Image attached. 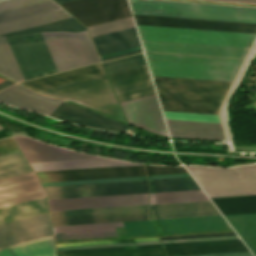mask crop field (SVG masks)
Masks as SVG:
<instances>
[{
    "mask_svg": "<svg viewBox=\"0 0 256 256\" xmlns=\"http://www.w3.org/2000/svg\"><path fill=\"white\" fill-rule=\"evenodd\" d=\"M230 235H236V233L235 232H227V233H212V234H197V235L167 236V237H160V239L168 240V239H184V238L230 236Z\"/></svg>",
    "mask_w": 256,
    "mask_h": 256,
    "instance_id": "crop-field-49",
    "label": "crop field"
},
{
    "mask_svg": "<svg viewBox=\"0 0 256 256\" xmlns=\"http://www.w3.org/2000/svg\"><path fill=\"white\" fill-rule=\"evenodd\" d=\"M222 215L256 212V195L211 198Z\"/></svg>",
    "mask_w": 256,
    "mask_h": 256,
    "instance_id": "crop-field-33",
    "label": "crop field"
},
{
    "mask_svg": "<svg viewBox=\"0 0 256 256\" xmlns=\"http://www.w3.org/2000/svg\"><path fill=\"white\" fill-rule=\"evenodd\" d=\"M140 51H142V49L136 50V51H132V52H128V53H124V54H119V55L111 56V57H107V58H103L101 60L105 61V60L121 57V56H124V55L132 54V53H136V52H140Z\"/></svg>",
    "mask_w": 256,
    "mask_h": 256,
    "instance_id": "crop-field-57",
    "label": "crop field"
},
{
    "mask_svg": "<svg viewBox=\"0 0 256 256\" xmlns=\"http://www.w3.org/2000/svg\"><path fill=\"white\" fill-rule=\"evenodd\" d=\"M221 1H235V2H250V3H256V0H221Z\"/></svg>",
    "mask_w": 256,
    "mask_h": 256,
    "instance_id": "crop-field-59",
    "label": "crop field"
},
{
    "mask_svg": "<svg viewBox=\"0 0 256 256\" xmlns=\"http://www.w3.org/2000/svg\"><path fill=\"white\" fill-rule=\"evenodd\" d=\"M0 256H56L53 235L1 248Z\"/></svg>",
    "mask_w": 256,
    "mask_h": 256,
    "instance_id": "crop-field-28",
    "label": "crop field"
},
{
    "mask_svg": "<svg viewBox=\"0 0 256 256\" xmlns=\"http://www.w3.org/2000/svg\"><path fill=\"white\" fill-rule=\"evenodd\" d=\"M13 83H14V82H11V81H9V80H6V81L0 83V90L3 89V88H5V87H7V86H9V85H11V84H13Z\"/></svg>",
    "mask_w": 256,
    "mask_h": 256,
    "instance_id": "crop-field-58",
    "label": "crop field"
},
{
    "mask_svg": "<svg viewBox=\"0 0 256 256\" xmlns=\"http://www.w3.org/2000/svg\"><path fill=\"white\" fill-rule=\"evenodd\" d=\"M151 74L232 81L241 60L146 53Z\"/></svg>",
    "mask_w": 256,
    "mask_h": 256,
    "instance_id": "crop-field-3",
    "label": "crop field"
},
{
    "mask_svg": "<svg viewBox=\"0 0 256 256\" xmlns=\"http://www.w3.org/2000/svg\"><path fill=\"white\" fill-rule=\"evenodd\" d=\"M105 73L103 70V67L101 64L65 72V73H60L28 82H24L22 84L29 86L35 90L99 75Z\"/></svg>",
    "mask_w": 256,
    "mask_h": 256,
    "instance_id": "crop-field-27",
    "label": "crop field"
},
{
    "mask_svg": "<svg viewBox=\"0 0 256 256\" xmlns=\"http://www.w3.org/2000/svg\"><path fill=\"white\" fill-rule=\"evenodd\" d=\"M56 2H58L59 4L61 3H65V2H69V1H73V0H55Z\"/></svg>",
    "mask_w": 256,
    "mask_h": 256,
    "instance_id": "crop-field-61",
    "label": "crop field"
},
{
    "mask_svg": "<svg viewBox=\"0 0 256 256\" xmlns=\"http://www.w3.org/2000/svg\"><path fill=\"white\" fill-rule=\"evenodd\" d=\"M166 118L220 123L219 116L163 111Z\"/></svg>",
    "mask_w": 256,
    "mask_h": 256,
    "instance_id": "crop-field-44",
    "label": "crop field"
},
{
    "mask_svg": "<svg viewBox=\"0 0 256 256\" xmlns=\"http://www.w3.org/2000/svg\"><path fill=\"white\" fill-rule=\"evenodd\" d=\"M61 6L86 27L132 16L127 0H78Z\"/></svg>",
    "mask_w": 256,
    "mask_h": 256,
    "instance_id": "crop-field-10",
    "label": "crop field"
},
{
    "mask_svg": "<svg viewBox=\"0 0 256 256\" xmlns=\"http://www.w3.org/2000/svg\"><path fill=\"white\" fill-rule=\"evenodd\" d=\"M48 212L46 197L5 207L0 209V225Z\"/></svg>",
    "mask_w": 256,
    "mask_h": 256,
    "instance_id": "crop-field-30",
    "label": "crop field"
},
{
    "mask_svg": "<svg viewBox=\"0 0 256 256\" xmlns=\"http://www.w3.org/2000/svg\"><path fill=\"white\" fill-rule=\"evenodd\" d=\"M139 248H151V247H162L161 244H155V245H143V246H138Z\"/></svg>",
    "mask_w": 256,
    "mask_h": 256,
    "instance_id": "crop-field-60",
    "label": "crop field"
},
{
    "mask_svg": "<svg viewBox=\"0 0 256 256\" xmlns=\"http://www.w3.org/2000/svg\"><path fill=\"white\" fill-rule=\"evenodd\" d=\"M137 24L256 33V24L133 15ZM137 25L141 39L249 47L255 34Z\"/></svg>",
    "mask_w": 256,
    "mask_h": 256,
    "instance_id": "crop-field-1",
    "label": "crop field"
},
{
    "mask_svg": "<svg viewBox=\"0 0 256 256\" xmlns=\"http://www.w3.org/2000/svg\"><path fill=\"white\" fill-rule=\"evenodd\" d=\"M58 256H166L163 248L58 254Z\"/></svg>",
    "mask_w": 256,
    "mask_h": 256,
    "instance_id": "crop-field-41",
    "label": "crop field"
},
{
    "mask_svg": "<svg viewBox=\"0 0 256 256\" xmlns=\"http://www.w3.org/2000/svg\"><path fill=\"white\" fill-rule=\"evenodd\" d=\"M40 182L146 175L143 165L36 172Z\"/></svg>",
    "mask_w": 256,
    "mask_h": 256,
    "instance_id": "crop-field-18",
    "label": "crop field"
},
{
    "mask_svg": "<svg viewBox=\"0 0 256 256\" xmlns=\"http://www.w3.org/2000/svg\"><path fill=\"white\" fill-rule=\"evenodd\" d=\"M148 194L48 200L50 210L147 204Z\"/></svg>",
    "mask_w": 256,
    "mask_h": 256,
    "instance_id": "crop-field-23",
    "label": "crop field"
},
{
    "mask_svg": "<svg viewBox=\"0 0 256 256\" xmlns=\"http://www.w3.org/2000/svg\"><path fill=\"white\" fill-rule=\"evenodd\" d=\"M145 167L148 175L187 173V171L184 169L183 166L165 167V166L145 165Z\"/></svg>",
    "mask_w": 256,
    "mask_h": 256,
    "instance_id": "crop-field-47",
    "label": "crop field"
},
{
    "mask_svg": "<svg viewBox=\"0 0 256 256\" xmlns=\"http://www.w3.org/2000/svg\"><path fill=\"white\" fill-rule=\"evenodd\" d=\"M0 129H2V128L0 127Z\"/></svg>",
    "mask_w": 256,
    "mask_h": 256,
    "instance_id": "crop-field-62",
    "label": "crop field"
},
{
    "mask_svg": "<svg viewBox=\"0 0 256 256\" xmlns=\"http://www.w3.org/2000/svg\"><path fill=\"white\" fill-rule=\"evenodd\" d=\"M193 256H253L251 252L242 253H226V254H210V255H193Z\"/></svg>",
    "mask_w": 256,
    "mask_h": 256,
    "instance_id": "crop-field-54",
    "label": "crop field"
},
{
    "mask_svg": "<svg viewBox=\"0 0 256 256\" xmlns=\"http://www.w3.org/2000/svg\"><path fill=\"white\" fill-rule=\"evenodd\" d=\"M171 137L223 140L220 124L166 119Z\"/></svg>",
    "mask_w": 256,
    "mask_h": 256,
    "instance_id": "crop-field-24",
    "label": "crop field"
},
{
    "mask_svg": "<svg viewBox=\"0 0 256 256\" xmlns=\"http://www.w3.org/2000/svg\"><path fill=\"white\" fill-rule=\"evenodd\" d=\"M129 236L156 234L149 221L125 222ZM123 223L53 227L56 240L118 236L115 227Z\"/></svg>",
    "mask_w": 256,
    "mask_h": 256,
    "instance_id": "crop-field-12",
    "label": "crop field"
},
{
    "mask_svg": "<svg viewBox=\"0 0 256 256\" xmlns=\"http://www.w3.org/2000/svg\"><path fill=\"white\" fill-rule=\"evenodd\" d=\"M119 249H127V248L126 247H118V248H101V249L66 250V251H58V253L84 252V251H101V250H119Z\"/></svg>",
    "mask_w": 256,
    "mask_h": 256,
    "instance_id": "crop-field-53",
    "label": "crop field"
},
{
    "mask_svg": "<svg viewBox=\"0 0 256 256\" xmlns=\"http://www.w3.org/2000/svg\"><path fill=\"white\" fill-rule=\"evenodd\" d=\"M50 116L60 120L90 126L98 129L134 134L133 128L88 109L63 102Z\"/></svg>",
    "mask_w": 256,
    "mask_h": 256,
    "instance_id": "crop-field-16",
    "label": "crop field"
},
{
    "mask_svg": "<svg viewBox=\"0 0 256 256\" xmlns=\"http://www.w3.org/2000/svg\"><path fill=\"white\" fill-rule=\"evenodd\" d=\"M92 39L100 55L141 45L135 27Z\"/></svg>",
    "mask_w": 256,
    "mask_h": 256,
    "instance_id": "crop-field-26",
    "label": "crop field"
},
{
    "mask_svg": "<svg viewBox=\"0 0 256 256\" xmlns=\"http://www.w3.org/2000/svg\"><path fill=\"white\" fill-rule=\"evenodd\" d=\"M133 14L256 23V8L160 0H129Z\"/></svg>",
    "mask_w": 256,
    "mask_h": 256,
    "instance_id": "crop-field-4",
    "label": "crop field"
},
{
    "mask_svg": "<svg viewBox=\"0 0 256 256\" xmlns=\"http://www.w3.org/2000/svg\"><path fill=\"white\" fill-rule=\"evenodd\" d=\"M190 176L189 174H178V175H158V176H148L149 179H156V178H170V177H184Z\"/></svg>",
    "mask_w": 256,
    "mask_h": 256,
    "instance_id": "crop-field-55",
    "label": "crop field"
},
{
    "mask_svg": "<svg viewBox=\"0 0 256 256\" xmlns=\"http://www.w3.org/2000/svg\"><path fill=\"white\" fill-rule=\"evenodd\" d=\"M147 205L50 211L53 226L148 220Z\"/></svg>",
    "mask_w": 256,
    "mask_h": 256,
    "instance_id": "crop-field-9",
    "label": "crop field"
},
{
    "mask_svg": "<svg viewBox=\"0 0 256 256\" xmlns=\"http://www.w3.org/2000/svg\"><path fill=\"white\" fill-rule=\"evenodd\" d=\"M146 51L244 58L248 48L141 40ZM145 51V52H146Z\"/></svg>",
    "mask_w": 256,
    "mask_h": 256,
    "instance_id": "crop-field-19",
    "label": "crop field"
},
{
    "mask_svg": "<svg viewBox=\"0 0 256 256\" xmlns=\"http://www.w3.org/2000/svg\"><path fill=\"white\" fill-rule=\"evenodd\" d=\"M120 104L129 123L154 133L168 135L155 94Z\"/></svg>",
    "mask_w": 256,
    "mask_h": 256,
    "instance_id": "crop-field-13",
    "label": "crop field"
},
{
    "mask_svg": "<svg viewBox=\"0 0 256 256\" xmlns=\"http://www.w3.org/2000/svg\"><path fill=\"white\" fill-rule=\"evenodd\" d=\"M159 221L166 233L231 229L223 216Z\"/></svg>",
    "mask_w": 256,
    "mask_h": 256,
    "instance_id": "crop-field-25",
    "label": "crop field"
},
{
    "mask_svg": "<svg viewBox=\"0 0 256 256\" xmlns=\"http://www.w3.org/2000/svg\"><path fill=\"white\" fill-rule=\"evenodd\" d=\"M67 17H71V16L67 14L65 11L60 10V11L0 25V34L67 18Z\"/></svg>",
    "mask_w": 256,
    "mask_h": 256,
    "instance_id": "crop-field-38",
    "label": "crop field"
},
{
    "mask_svg": "<svg viewBox=\"0 0 256 256\" xmlns=\"http://www.w3.org/2000/svg\"><path fill=\"white\" fill-rule=\"evenodd\" d=\"M168 256L249 251L243 242L164 247Z\"/></svg>",
    "mask_w": 256,
    "mask_h": 256,
    "instance_id": "crop-field-31",
    "label": "crop field"
},
{
    "mask_svg": "<svg viewBox=\"0 0 256 256\" xmlns=\"http://www.w3.org/2000/svg\"><path fill=\"white\" fill-rule=\"evenodd\" d=\"M32 172L21 151L0 156V180Z\"/></svg>",
    "mask_w": 256,
    "mask_h": 256,
    "instance_id": "crop-field-35",
    "label": "crop field"
},
{
    "mask_svg": "<svg viewBox=\"0 0 256 256\" xmlns=\"http://www.w3.org/2000/svg\"><path fill=\"white\" fill-rule=\"evenodd\" d=\"M142 48L141 46L100 56L101 58Z\"/></svg>",
    "mask_w": 256,
    "mask_h": 256,
    "instance_id": "crop-field-56",
    "label": "crop field"
},
{
    "mask_svg": "<svg viewBox=\"0 0 256 256\" xmlns=\"http://www.w3.org/2000/svg\"><path fill=\"white\" fill-rule=\"evenodd\" d=\"M235 241H241V239L202 241V242H186V243H170V244H163V245L164 246H171V245H187V244H203V243H219V242H235Z\"/></svg>",
    "mask_w": 256,
    "mask_h": 256,
    "instance_id": "crop-field-52",
    "label": "crop field"
},
{
    "mask_svg": "<svg viewBox=\"0 0 256 256\" xmlns=\"http://www.w3.org/2000/svg\"><path fill=\"white\" fill-rule=\"evenodd\" d=\"M154 243H160V241H152V242H137V243H123V244H108V245H93V246H79V247H64V248H57V249H58V250H65V249H80V248L110 247V246H124V245L154 244Z\"/></svg>",
    "mask_w": 256,
    "mask_h": 256,
    "instance_id": "crop-field-50",
    "label": "crop field"
},
{
    "mask_svg": "<svg viewBox=\"0 0 256 256\" xmlns=\"http://www.w3.org/2000/svg\"><path fill=\"white\" fill-rule=\"evenodd\" d=\"M42 1L46 0H2L0 1V12Z\"/></svg>",
    "mask_w": 256,
    "mask_h": 256,
    "instance_id": "crop-field-48",
    "label": "crop field"
},
{
    "mask_svg": "<svg viewBox=\"0 0 256 256\" xmlns=\"http://www.w3.org/2000/svg\"><path fill=\"white\" fill-rule=\"evenodd\" d=\"M133 26H135L134 21H133V18L130 17V18H126V19H122V20H118L110 23L89 27L88 30L91 36L93 37V36L129 28Z\"/></svg>",
    "mask_w": 256,
    "mask_h": 256,
    "instance_id": "crop-field-43",
    "label": "crop field"
},
{
    "mask_svg": "<svg viewBox=\"0 0 256 256\" xmlns=\"http://www.w3.org/2000/svg\"><path fill=\"white\" fill-rule=\"evenodd\" d=\"M86 30L84 26H82L78 21H76L73 17L3 34L4 35H17V34H27V33H35V32H50V31H70V32H79Z\"/></svg>",
    "mask_w": 256,
    "mask_h": 256,
    "instance_id": "crop-field-37",
    "label": "crop field"
},
{
    "mask_svg": "<svg viewBox=\"0 0 256 256\" xmlns=\"http://www.w3.org/2000/svg\"><path fill=\"white\" fill-rule=\"evenodd\" d=\"M52 234L49 213L12 222L0 226V248Z\"/></svg>",
    "mask_w": 256,
    "mask_h": 256,
    "instance_id": "crop-field-14",
    "label": "crop field"
},
{
    "mask_svg": "<svg viewBox=\"0 0 256 256\" xmlns=\"http://www.w3.org/2000/svg\"><path fill=\"white\" fill-rule=\"evenodd\" d=\"M233 238H239V237L238 236H230V237H214V238H199V239H184V240H168V241H162V243L201 241V240H217V239H233Z\"/></svg>",
    "mask_w": 256,
    "mask_h": 256,
    "instance_id": "crop-field-51",
    "label": "crop field"
},
{
    "mask_svg": "<svg viewBox=\"0 0 256 256\" xmlns=\"http://www.w3.org/2000/svg\"><path fill=\"white\" fill-rule=\"evenodd\" d=\"M163 110L218 115L231 82L152 76Z\"/></svg>",
    "mask_w": 256,
    "mask_h": 256,
    "instance_id": "crop-field-2",
    "label": "crop field"
},
{
    "mask_svg": "<svg viewBox=\"0 0 256 256\" xmlns=\"http://www.w3.org/2000/svg\"><path fill=\"white\" fill-rule=\"evenodd\" d=\"M150 220L220 215L211 201L149 205Z\"/></svg>",
    "mask_w": 256,
    "mask_h": 256,
    "instance_id": "crop-field-21",
    "label": "crop field"
},
{
    "mask_svg": "<svg viewBox=\"0 0 256 256\" xmlns=\"http://www.w3.org/2000/svg\"><path fill=\"white\" fill-rule=\"evenodd\" d=\"M45 196L34 172L0 181V208Z\"/></svg>",
    "mask_w": 256,
    "mask_h": 256,
    "instance_id": "crop-field-17",
    "label": "crop field"
},
{
    "mask_svg": "<svg viewBox=\"0 0 256 256\" xmlns=\"http://www.w3.org/2000/svg\"><path fill=\"white\" fill-rule=\"evenodd\" d=\"M159 240L158 237L56 244L57 247Z\"/></svg>",
    "mask_w": 256,
    "mask_h": 256,
    "instance_id": "crop-field-46",
    "label": "crop field"
},
{
    "mask_svg": "<svg viewBox=\"0 0 256 256\" xmlns=\"http://www.w3.org/2000/svg\"><path fill=\"white\" fill-rule=\"evenodd\" d=\"M108 76L120 102L155 93L146 65Z\"/></svg>",
    "mask_w": 256,
    "mask_h": 256,
    "instance_id": "crop-field-15",
    "label": "crop field"
},
{
    "mask_svg": "<svg viewBox=\"0 0 256 256\" xmlns=\"http://www.w3.org/2000/svg\"><path fill=\"white\" fill-rule=\"evenodd\" d=\"M30 165L32 166L34 171H42V170L105 167V166H120V165H136V163L109 160L105 158H97V159H82V160H67V161L36 162V163H30Z\"/></svg>",
    "mask_w": 256,
    "mask_h": 256,
    "instance_id": "crop-field-29",
    "label": "crop field"
},
{
    "mask_svg": "<svg viewBox=\"0 0 256 256\" xmlns=\"http://www.w3.org/2000/svg\"><path fill=\"white\" fill-rule=\"evenodd\" d=\"M224 217L256 256V213Z\"/></svg>",
    "mask_w": 256,
    "mask_h": 256,
    "instance_id": "crop-field-32",
    "label": "crop field"
},
{
    "mask_svg": "<svg viewBox=\"0 0 256 256\" xmlns=\"http://www.w3.org/2000/svg\"><path fill=\"white\" fill-rule=\"evenodd\" d=\"M39 91L93 109L118 103L105 74ZM96 110L125 121L118 104Z\"/></svg>",
    "mask_w": 256,
    "mask_h": 256,
    "instance_id": "crop-field-6",
    "label": "crop field"
},
{
    "mask_svg": "<svg viewBox=\"0 0 256 256\" xmlns=\"http://www.w3.org/2000/svg\"><path fill=\"white\" fill-rule=\"evenodd\" d=\"M0 102L47 115L62 103L16 84L0 92Z\"/></svg>",
    "mask_w": 256,
    "mask_h": 256,
    "instance_id": "crop-field-20",
    "label": "crop field"
},
{
    "mask_svg": "<svg viewBox=\"0 0 256 256\" xmlns=\"http://www.w3.org/2000/svg\"><path fill=\"white\" fill-rule=\"evenodd\" d=\"M87 32L42 33L59 72L100 62Z\"/></svg>",
    "mask_w": 256,
    "mask_h": 256,
    "instance_id": "crop-field-7",
    "label": "crop field"
},
{
    "mask_svg": "<svg viewBox=\"0 0 256 256\" xmlns=\"http://www.w3.org/2000/svg\"><path fill=\"white\" fill-rule=\"evenodd\" d=\"M6 38L25 80L58 72L41 33Z\"/></svg>",
    "mask_w": 256,
    "mask_h": 256,
    "instance_id": "crop-field-8",
    "label": "crop field"
},
{
    "mask_svg": "<svg viewBox=\"0 0 256 256\" xmlns=\"http://www.w3.org/2000/svg\"><path fill=\"white\" fill-rule=\"evenodd\" d=\"M140 179H147V178H146V176H139V177L109 178V179H95V180L50 182V183H41V184H42V186H50V185H65V184H80V183H95V182L140 180Z\"/></svg>",
    "mask_w": 256,
    "mask_h": 256,
    "instance_id": "crop-field-45",
    "label": "crop field"
},
{
    "mask_svg": "<svg viewBox=\"0 0 256 256\" xmlns=\"http://www.w3.org/2000/svg\"><path fill=\"white\" fill-rule=\"evenodd\" d=\"M28 162L96 158L97 156L82 154L50 144L38 142L27 137H14Z\"/></svg>",
    "mask_w": 256,
    "mask_h": 256,
    "instance_id": "crop-field-22",
    "label": "crop field"
},
{
    "mask_svg": "<svg viewBox=\"0 0 256 256\" xmlns=\"http://www.w3.org/2000/svg\"><path fill=\"white\" fill-rule=\"evenodd\" d=\"M107 73H113L141 65H145L144 55L142 53L124 57L121 59L103 63Z\"/></svg>",
    "mask_w": 256,
    "mask_h": 256,
    "instance_id": "crop-field-42",
    "label": "crop field"
},
{
    "mask_svg": "<svg viewBox=\"0 0 256 256\" xmlns=\"http://www.w3.org/2000/svg\"><path fill=\"white\" fill-rule=\"evenodd\" d=\"M209 200L202 190L150 194L149 204Z\"/></svg>",
    "mask_w": 256,
    "mask_h": 256,
    "instance_id": "crop-field-39",
    "label": "crop field"
},
{
    "mask_svg": "<svg viewBox=\"0 0 256 256\" xmlns=\"http://www.w3.org/2000/svg\"><path fill=\"white\" fill-rule=\"evenodd\" d=\"M150 193L200 189L192 177L149 180Z\"/></svg>",
    "mask_w": 256,
    "mask_h": 256,
    "instance_id": "crop-field-36",
    "label": "crop field"
},
{
    "mask_svg": "<svg viewBox=\"0 0 256 256\" xmlns=\"http://www.w3.org/2000/svg\"><path fill=\"white\" fill-rule=\"evenodd\" d=\"M61 8L53 1H47L7 12L0 13V24L60 10Z\"/></svg>",
    "mask_w": 256,
    "mask_h": 256,
    "instance_id": "crop-field-34",
    "label": "crop field"
},
{
    "mask_svg": "<svg viewBox=\"0 0 256 256\" xmlns=\"http://www.w3.org/2000/svg\"><path fill=\"white\" fill-rule=\"evenodd\" d=\"M0 73L17 81L23 80L5 37H0Z\"/></svg>",
    "mask_w": 256,
    "mask_h": 256,
    "instance_id": "crop-field-40",
    "label": "crop field"
},
{
    "mask_svg": "<svg viewBox=\"0 0 256 256\" xmlns=\"http://www.w3.org/2000/svg\"><path fill=\"white\" fill-rule=\"evenodd\" d=\"M186 168L209 197L256 194V165Z\"/></svg>",
    "mask_w": 256,
    "mask_h": 256,
    "instance_id": "crop-field-5",
    "label": "crop field"
},
{
    "mask_svg": "<svg viewBox=\"0 0 256 256\" xmlns=\"http://www.w3.org/2000/svg\"><path fill=\"white\" fill-rule=\"evenodd\" d=\"M48 199L148 193L147 180L44 187Z\"/></svg>",
    "mask_w": 256,
    "mask_h": 256,
    "instance_id": "crop-field-11",
    "label": "crop field"
}]
</instances>
